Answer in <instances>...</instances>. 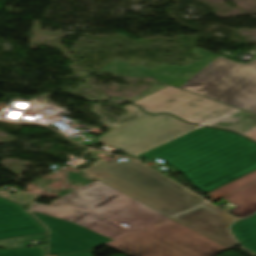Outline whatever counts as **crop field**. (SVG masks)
I'll return each mask as SVG.
<instances>
[{
	"label": "crop field",
	"instance_id": "crop-field-15",
	"mask_svg": "<svg viewBox=\"0 0 256 256\" xmlns=\"http://www.w3.org/2000/svg\"><path fill=\"white\" fill-rule=\"evenodd\" d=\"M3 193H6L5 195ZM39 195L33 194V193H29V192H25V191H20L18 193H16L15 195H10L9 192L0 190V197L14 201L16 203L19 204H25L27 202H30L32 200H34L36 197H38Z\"/></svg>",
	"mask_w": 256,
	"mask_h": 256
},
{
	"label": "crop field",
	"instance_id": "crop-field-5",
	"mask_svg": "<svg viewBox=\"0 0 256 256\" xmlns=\"http://www.w3.org/2000/svg\"><path fill=\"white\" fill-rule=\"evenodd\" d=\"M134 104L147 113H171L193 124L230 129L241 134L256 127V116L173 87H166Z\"/></svg>",
	"mask_w": 256,
	"mask_h": 256
},
{
	"label": "crop field",
	"instance_id": "crop-field-10",
	"mask_svg": "<svg viewBox=\"0 0 256 256\" xmlns=\"http://www.w3.org/2000/svg\"><path fill=\"white\" fill-rule=\"evenodd\" d=\"M46 233L23 206L0 198V240Z\"/></svg>",
	"mask_w": 256,
	"mask_h": 256
},
{
	"label": "crop field",
	"instance_id": "crop-field-9",
	"mask_svg": "<svg viewBox=\"0 0 256 256\" xmlns=\"http://www.w3.org/2000/svg\"><path fill=\"white\" fill-rule=\"evenodd\" d=\"M31 210L75 222L113 240L128 233L123 227L87 210L52 201L48 206L34 202Z\"/></svg>",
	"mask_w": 256,
	"mask_h": 256
},
{
	"label": "crop field",
	"instance_id": "crop-field-18",
	"mask_svg": "<svg viewBox=\"0 0 256 256\" xmlns=\"http://www.w3.org/2000/svg\"><path fill=\"white\" fill-rule=\"evenodd\" d=\"M244 135L249 137V138H251V139L256 140V129H254V130H252V131H250V132H248V133H246Z\"/></svg>",
	"mask_w": 256,
	"mask_h": 256
},
{
	"label": "crop field",
	"instance_id": "crop-field-4",
	"mask_svg": "<svg viewBox=\"0 0 256 256\" xmlns=\"http://www.w3.org/2000/svg\"><path fill=\"white\" fill-rule=\"evenodd\" d=\"M95 113L101 118L102 124L109 132L98 138L100 144L122 148L138 154L158 146L198 126L183 122L171 115H149L143 113L138 106L129 104L124 108L129 114L118 117L93 104Z\"/></svg>",
	"mask_w": 256,
	"mask_h": 256
},
{
	"label": "crop field",
	"instance_id": "crop-field-1",
	"mask_svg": "<svg viewBox=\"0 0 256 256\" xmlns=\"http://www.w3.org/2000/svg\"><path fill=\"white\" fill-rule=\"evenodd\" d=\"M92 157L97 161L83 172L169 217L204 201L136 161L116 163L95 151ZM173 219L228 248L237 244L228 232L232 217L207 202Z\"/></svg>",
	"mask_w": 256,
	"mask_h": 256
},
{
	"label": "crop field",
	"instance_id": "crop-field-7",
	"mask_svg": "<svg viewBox=\"0 0 256 256\" xmlns=\"http://www.w3.org/2000/svg\"><path fill=\"white\" fill-rule=\"evenodd\" d=\"M57 200L97 212L119 224L124 222L132 232L168 218L100 182L84 186Z\"/></svg>",
	"mask_w": 256,
	"mask_h": 256
},
{
	"label": "crop field",
	"instance_id": "crop-field-3",
	"mask_svg": "<svg viewBox=\"0 0 256 256\" xmlns=\"http://www.w3.org/2000/svg\"><path fill=\"white\" fill-rule=\"evenodd\" d=\"M191 52L203 59L187 66L160 64L147 69L115 59L99 72L118 76L155 77L158 81L224 102L256 114V60L233 62L195 48Z\"/></svg>",
	"mask_w": 256,
	"mask_h": 256
},
{
	"label": "crop field",
	"instance_id": "crop-field-8",
	"mask_svg": "<svg viewBox=\"0 0 256 256\" xmlns=\"http://www.w3.org/2000/svg\"><path fill=\"white\" fill-rule=\"evenodd\" d=\"M31 212L51 230L49 254L88 250L111 240L75 223Z\"/></svg>",
	"mask_w": 256,
	"mask_h": 256
},
{
	"label": "crop field",
	"instance_id": "crop-field-16",
	"mask_svg": "<svg viewBox=\"0 0 256 256\" xmlns=\"http://www.w3.org/2000/svg\"><path fill=\"white\" fill-rule=\"evenodd\" d=\"M43 237H46V234L38 235V236L17 238V239L4 240V241H0V247H4L5 249L26 247L23 240L43 238Z\"/></svg>",
	"mask_w": 256,
	"mask_h": 256
},
{
	"label": "crop field",
	"instance_id": "crop-field-13",
	"mask_svg": "<svg viewBox=\"0 0 256 256\" xmlns=\"http://www.w3.org/2000/svg\"><path fill=\"white\" fill-rule=\"evenodd\" d=\"M254 181H256V172H253L241 179H238V180L210 193L209 194L211 197L210 201L213 202L217 199H220L223 196H225V195H227V194H229V193H231V192H233L251 182H254Z\"/></svg>",
	"mask_w": 256,
	"mask_h": 256
},
{
	"label": "crop field",
	"instance_id": "crop-field-2",
	"mask_svg": "<svg viewBox=\"0 0 256 256\" xmlns=\"http://www.w3.org/2000/svg\"><path fill=\"white\" fill-rule=\"evenodd\" d=\"M137 157L166 160L207 193L256 170V143L239 134L202 127Z\"/></svg>",
	"mask_w": 256,
	"mask_h": 256
},
{
	"label": "crop field",
	"instance_id": "crop-field-20",
	"mask_svg": "<svg viewBox=\"0 0 256 256\" xmlns=\"http://www.w3.org/2000/svg\"><path fill=\"white\" fill-rule=\"evenodd\" d=\"M255 59H256V56H255Z\"/></svg>",
	"mask_w": 256,
	"mask_h": 256
},
{
	"label": "crop field",
	"instance_id": "crop-field-12",
	"mask_svg": "<svg viewBox=\"0 0 256 256\" xmlns=\"http://www.w3.org/2000/svg\"><path fill=\"white\" fill-rule=\"evenodd\" d=\"M231 231L243 247L256 254V215L231 226Z\"/></svg>",
	"mask_w": 256,
	"mask_h": 256
},
{
	"label": "crop field",
	"instance_id": "crop-field-6",
	"mask_svg": "<svg viewBox=\"0 0 256 256\" xmlns=\"http://www.w3.org/2000/svg\"><path fill=\"white\" fill-rule=\"evenodd\" d=\"M190 229L169 218L107 245L129 256H216L228 249Z\"/></svg>",
	"mask_w": 256,
	"mask_h": 256
},
{
	"label": "crop field",
	"instance_id": "crop-field-17",
	"mask_svg": "<svg viewBox=\"0 0 256 256\" xmlns=\"http://www.w3.org/2000/svg\"><path fill=\"white\" fill-rule=\"evenodd\" d=\"M93 250L90 252L68 254V255H56V256H92Z\"/></svg>",
	"mask_w": 256,
	"mask_h": 256
},
{
	"label": "crop field",
	"instance_id": "crop-field-14",
	"mask_svg": "<svg viewBox=\"0 0 256 256\" xmlns=\"http://www.w3.org/2000/svg\"><path fill=\"white\" fill-rule=\"evenodd\" d=\"M0 256H46V246L0 250Z\"/></svg>",
	"mask_w": 256,
	"mask_h": 256
},
{
	"label": "crop field",
	"instance_id": "crop-field-19",
	"mask_svg": "<svg viewBox=\"0 0 256 256\" xmlns=\"http://www.w3.org/2000/svg\"><path fill=\"white\" fill-rule=\"evenodd\" d=\"M205 202H206V201H205ZM205 202H204V203H205ZM197 207H199V206H197ZM195 208H196V207H195Z\"/></svg>",
	"mask_w": 256,
	"mask_h": 256
},
{
	"label": "crop field",
	"instance_id": "crop-field-11",
	"mask_svg": "<svg viewBox=\"0 0 256 256\" xmlns=\"http://www.w3.org/2000/svg\"><path fill=\"white\" fill-rule=\"evenodd\" d=\"M223 198L228 202L238 205L229 212L239 216L240 218L249 216L256 212V182L251 183Z\"/></svg>",
	"mask_w": 256,
	"mask_h": 256
}]
</instances>
